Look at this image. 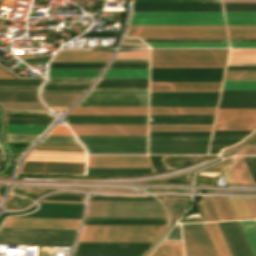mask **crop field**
<instances>
[{"instance_id":"obj_81","label":"crop field","mask_w":256,"mask_h":256,"mask_svg":"<svg viewBox=\"0 0 256 256\" xmlns=\"http://www.w3.org/2000/svg\"><path fill=\"white\" fill-rule=\"evenodd\" d=\"M256 221V220H255Z\"/></svg>"},{"instance_id":"obj_14","label":"crop field","mask_w":256,"mask_h":256,"mask_svg":"<svg viewBox=\"0 0 256 256\" xmlns=\"http://www.w3.org/2000/svg\"><path fill=\"white\" fill-rule=\"evenodd\" d=\"M40 209L21 217L81 219L84 204L39 203Z\"/></svg>"},{"instance_id":"obj_45","label":"crop field","mask_w":256,"mask_h":256,"mask_svg":"<svg viewBox=\"0 0 256 256\" xmlns=\"http://www.w3.org/2000/svg\"><path fill=\"white\" fill-rule=\"evenodd\" d=\"M79 140H146V136H77Z\"/></svg>"},{"instance_id":"obj_52","label":"crop field","mask_w":256,"mask_h":256,"mask_svg":"<svg viewBox=\"0 0 256 256\" xmlns=\"http://www.w3.org/2000/svg\"><path fill=\"white\" fill-rule=\"evenodd\" d=\"M53 120L6 119V124L49 125Z\"/></svg>"},{"instance_id":"obj_23","label":"crop field","mask_w":256,"mask_h":256,"mask_svg":"<svg viewBox=\"0 0 256 256\" xmlns=\"http://www.w3.org/2000/svg\"><path fill=\"white\" fill-rule=\"evenodd\" d=\"M112 52L94 50L59 51L54 59H109ZM53 61H108V60H53Z\"/></svg>"},{"instance_id":"obj_8","label":"crop field","mask_w":256,"mask_h":256,"mask_svg":"<svg viewBox=\"0 0 256 256\" xmlns=\"http://www.w3.org/2000/svg\"><path fill=\"white\" fill-rule=\"evenodd\" d=\"M219 92H150V106H216Z\"/></svg>"},{"instance_id":"obj_25","label":"crop field","mask_w":256,"mask_h":256,"mask_svg":"<svg viewBox=\"0 0 256 256\" xmlns=\"http://www.w3.org/2000/svg\"><path fill=\"white\" fill-rule=\"evenodd\" d=\"M216 107H150V114H214Z\"/></svg>"},{"instance_id":"obj_41","label":"crop field","mask_w":256,"mask_h":256,"mask_svg":"<svg viewBox=\"0 0 256 256\" xmlns=\"http://www.w3.org/2000/svg\"><path fill=\"white\" fill-rule=\"evenodd\" d=\"M222 90H256V81H224Z\"/></svg>"},{"instance_id":"obj_54","label":"crop field","mask_w":256,"mask_h":256,"mask_svg":"<svg viewBox=\"0 0 256 256\" xmlns=\"http://www.w3.org/2000/svg\"><path fill=\"white\" fill-rule=\"evenodd\" d=\"M134 2L221 3L220 0H134Z\"/></svg>"},{"instance_id":"obj_44","label":"crop field","mask_w":256,"mask_h":256,"mask_svg":"<svg viewBox=\"0 0 256 256\" xmlns=\"http://www.w3.org/2000/svg\"><path fill=\"white\" fill-rule=\"evenodd\" d=\"M224 80H256V71H226Z\"/></svg>"},{"instance_id":"obj_57","label":"crop field","mask_w":256,"mask_h":256,"mask_svg":"<svg viewBox=\"0 0 256 256\" xmlns=\"http://www.w3.org/2000/svg\"><path fill=\"white\" fill-rule=\"evenodd\" d=\"M89 200H155L153 197H143V198H129V197H110V196H93Z\"/></svg>"},{"instance_id":"obj_35","label":"crop field","mask_w":256,"mask_h":256,"mask_svg":"<svg viewBox=\"0 0 256 256\" xmlns=\"http://www.w3.org/2000/svg\"><path fill=\"white\" fill-rule=\"evenodd\" d=\"M245 237L252 249L254 256H256V223L254 220L238 221Z\"/></svg>"},{"instance_id":"obj_79","label":"crop field","mask_w":256,"mask_h":256,"mask_svg":"<svg viewBox=\"0 0 256 256\" xmlns=\"http://www.w3.org/2000/svg\"><path fill=\"white\" fill-rule=\"evenodd\" d=\"M196 207H197V209H198V211H199V214H200L202 220L205 221L204 218H203V216H202V213H201V211H200V208H199L198 204L196 205Z\"/></svg>"},{"instance_id":"obj_43","label":"crop field","mask_w":256,"mask_h":256,"mask_svg":"<svg viewBox=\"0 0 256 256\" xmlns=\"http://www.w3.org/2000/svg\"><path fill=\"white\" fill-rule=\"evenodd\" d=\"M47 126L7 125L8 133L40 134Z\"/></svg>"},{"instance_id":"obj_42","label":"crop field","mask_w":256,"mask_h":256,"mask_svg":"<svg viewBox=\"0 0 256 256\" xmlns=\"http://www.w3.org/2000/svg\"><path fill=\"white\" fill-rule=\"evenodd\" d=\"M151 256H183L181 245H160Z\"/></svg>"},{"instance_id":"obj_60","label":"crop field","mask_w":256,"mask_h":256,"mask_svg":"<svg viewBox=\"0 0 256 256\" xmlns=\"http://www.w3.org/2000/svg\"><path fill=\"white\" fill-rule=\"evenodd\" d=\"M227 25H256V19H226Z\"/></svg>"},{"instance_id":"obj_39","label":"crop field","mask_w":256,"mask_h":256,"mask_svg":"<svg viewBox=\"0 0 256 256\" xmlns=\"http://www.w3.org/2000/svg\"><path fill=\"white\" fill-rule=\"evenodd\" d=\"M229 37H256V26H227Z\"/></svg>"},{"instance_id":"obj_29","label":"crop field","mask_w":256,"mask_h":256,"mask_svg":"<svg viewBox=\"0 0 256 256\" xmlns=\"http://www.w3.org/2000/svg\"><path fill=\"white\" fill-rule=\"evenodd\" d=\"M238 184H255L242 157L230 167Z\"/></svg>"},{"instance_id":"obj_47","label":"crop field","mask_w":256,"mask_h":256,"mask_svg":"<svg viewBox=\"0 0 256 256\" xmlns=\"http://www.w3.org/2000/svg\"><path fill=\"white\" fill-rule=\"evenodd\" d=\"M117 55H149V50L118 52ZM149 57H115L113 61H148Z\"/></svg>"},{"instance_id":"obj_15","label":"crop field","mask_w":256,"mask_h":256,"mask_svg":"<svg viewBox=\"0 0 256 256\" xmlns=\"http://www.w3.org/2000/svg\"><path fill=\"white\" fill-rule=\"evenodd\" d=\"M68 124H147V116L67 115Z\"/></svg>"},{"instance_id":"obj_51","label":"crop field","mask_w":256,"mask_h":256,"mask_svg":"<svg viewBox=\"0 0 256 256\" xmlns=\"http://www.w3.org/2000/svg\"><path fill=\"white\" fill-rule=\"evenodd\" d=\"M224 220H233L234 217L225 199L214 198Z\"/></svg>"},{"instance_id":"obj_48","label":"crop field","mask_w":256,"mask_h":256,"mask_svg":"<svg viewBox=\"0 0 256 256\" xmlns=\"http://www.w3.org/2000/svg\"><path fill=\"white\" fill-rule=\"evenodd\" d=\"M40 143L78 144L73 136L47 135Z\"/></svg>"},{"instance_id":"obj_31","label":"crop field","mask_w":256,"mask_h":256,"mask_svg":"<svg viewBox=\"0 0 256 256\" xmlns=\"http://www.w3.org/2000/svg\"><path fill=\"white\" fill-rule=\"evenodd\" d=\"M0 101H39L37 91H0Z\"/></svg>"},{"instance_id":"obj_70","label":"crop field","mask_w":256,"mask_h":256,"mask_svg":"<svg viewBox=\"0 0 256 256\" xmlns=\"http://www.w3.org/2000/svg\"><path fill=\"white\" fill-rule=\"evenodd\" d=\"M246 136H213L212 140H242Z\"/></svg>"},{"instance_id":"obj_65","label":"crop field","mask_w":256,"mask_h":256,"mask_svg":"<svg viewBox=\"0 0 256 256\" xmlns=\"http://www.w3.org/2000/svg\"><path fill=\"white\" fill-rule=\"evenodd\" d=\"M182 231L207 229L204 223L181 224Z\"/></svg>"},{"instance_id":"obj_76","label":"crop field","mask_w":256,"mask_h":256,"mask_svg":"<svg viewBox=\"0 0 256 256\" xmlns=\"http://www.w3.org/2000/svg\"><path fill=\"white\" fill-rule=\"evenodd\" d=\"M170 234L180 235V227L178 224L172 229Z\"/></svg>"},{"instance_id":"obj_55","label":"crop field","mask_w":256,"mask_h":256,"mask_svg":"<svg viewBox=\"0 0 256 256\" xmlns=\"http://www.w3.org/2000/svg\"><path fill=\"white\" fill-rule=\"evenodd\" d=\"M167 218L85 217L84 220H166Z\"/></svg>"},{"instance_id":"obj_19","label":"crop field","mask_w":256,"mask_h":256,"mask_svg":"<svg viewBox=\"0 0 256 256\" xmlns=\"http://www.w3.org/2000/svg\"><path fill=\"white\" fill-rule=\"evenodd\" d=\"M215 124L256 125V109H218Z\"/></svg>"},{"instance_id":"obj_58","label":"crop field","mask_w":256,"mask_h":256,"mask_svg":"<svg viewBox=\"0 0 256 256\" xmlns=\"http://www.w3.org/2000/svg\"><path fill=\"white\" fill-rule=\"evenodd\" d=\"M256 126L215 125L214 130H254Z\"/></svg>"},{"instance_id":"obj_66","label":"crop field","mask_w":256,"mask_h":256,"mask_svg":"<svg viewBox=\"0 0 256 256\" xmlns=\"http://www.w3.org/2000/svg\"><path fill=\"white\" fill-rule=\"evenodd\" d=\"M39 86H3L0 90H38Z\"/></svg>"},{"instance_id":"obj_74","label":"crop field","mask_w":256,"mask_h":256,"mask_svg":"<svg viewBox=\"0 0 256 256\" xmlns=\"http://www.w3.org/2000/svg\"><path fill=\"white\" fill-rule=\"evenodd\" d=\"M231 47H256V43H230Z\"/></svg>"},{"instance_id":"obj_12","label":"crop field","mask_w":256,"mask_h":256,"mask_svg":"<svg viewBox=\"0 0 256 256\" xmlns=\"http://www.w3.org/2000/svg\"><path fill=\"white\" fill-rule=\"evenodd\" d=\"M88 167H151L146 155H88Z\"/></svg>"},{"instance_id":"obj_71","label":"crop field","mask_w":256,"mask_h":256,"mask_svg":"<svg viewBox=\"0 0 256 256\" xmlns=\"http://www.w3.org/2000/svg\"><path fill=\"white\" fill-rule=\"evenodd\" d=\"M198 204H199V206H200V208H201V210H202V213H203V215H204L205 220H206V221H212L211 218H210V216H209V213H208V211H207V208H206V206H205V204H204L203 199H201V200L198 202Z\"/></svg>"},{"instance_id":"obj_30","label":"crop field","mask_w":256,"mask_h":256,"mask_svg":"<svg viewBox=\"0 0 256 256\" xmlns=\"http://www.w3.org/2000/svg\"><path fill=\"white\" fill-rule=\"evenodd\" d=\"M81 94H41L48 106H70Z\"/></svg>"},{"instance_id":"obj_49","label":"crop field","mask_w":256,"mask_h":256,"mask_svg":"<svg viewBox=\"0 0 256 256\" xmlns=\"http://www.w3.org/2000/svg\"><path fill=\"white\" fill-rule=\"evenodd\" d=\"M43 79H0V86L3 85H41Z\"/></svg>"},{"instance_id":"obj_33","label":"crop field","mask_w":256,"mask_h":256,"mask_svg":"<svg viewBox=\"0 0 256 256\" xmlns=\"http://www.w3.org/2000/svg\"><path fill=\"white\" fill-rule=\"evenodd\" d=\"M221 256H231L216 222L206 223Z\"/></svg>"},{"instance_id":"obj_32","label":"crop field","mask_w":256,"mask_h":256,"mask_svg":"<svg viewBox=\"0 0 256 256\" xmlns=\"http://www.w3.org/2000/svg\"><path fill=\"white\" fill-rule=\"evenodd\" d=\"M75 135H146L147 130H72Z\"/></svg>"},{"instance_id":"obj_64","label":"crop field","mask_w":256,"mask_h":256,"mask_svg":"<svg viewBox=\"0 0 256 256\" xmlns=\"http://www.w3.org/2000/svg\"><path fill=\"white\" fill-rule=\"evenodd\" d=\"M84 90L85 89H42L41 93H83Z\"/></svg>"},{"instance_id":"obj_63","label":"crop field","mask_w":256,"mask_h":256,"mask_svg":"<svg viewBox=\"0 0 256 256\" xmlns=\"http://www.w3.org/2000/svg\"><path fill=\"white\" fill-rule=\"evenodd\" d=\"M256 183V157H243Z\"/></svg>"},{"instance_id":"obj_68","label":"crop field","mask_w":256,"mask_h":256,"mask_svg":"<svg viewBox=\"0 0 256 256\" xmlns=\"http://www.w3.org/2000/svg\"><path fill=\"white\" fill-rule=\"evenodd\" d=\"M49 134H60V135H71L68 129L65 126L58 127L56 126L54 129L51 130Z\"/></svg>"},{"instance_id":"obj_62","label":"crop field","mask_w":256,"mask_h":256,"mask_svg":"<svg viewBox=\"0 0 256 256\" xmlns=\"http://www.w3.org/2000/svg\"><path fill=\"white\" fill-rule=\"evenodd\" d=\"M143 254L73 253L72 256H142Z\"/></svg>"},{"instance_id":"obj_78","label":"crop field","mask_w":256,"mask_h":256,"mask_svg":"<svg viewBox=\"0 0 256 256\" xmlns=\"http://www.w3.org/2000/svg\"><path fill=\"white\" fill-rule=\"evenodd\" d=\"M210 199H211V201H212V203H213V205H214V207H215V209H216V211H217V213H218L220 219L223 220L222 217H221V215H220V212H219V210H218V208H217V206H216V203H215L214 199H213V198H210ZM218 215H217V216H218ZM219 217H218V218H219ZM220 219H219V220H220Z\"/></svg>"},{"instance_id":"obj_13","label":"crop field","mask_w":256,"mask_h":256,"mask_svg":"<svg viewBox=\"0 0 256 256\" xmlns=\"http://www.w3.org/2000/svg\"><path fill=\"white\" fill-rule=\"evenodd\" d=\"M232 256H253L237 221L217 222Z\"/></svg>"},{"instance_id":"obj_40","label":"crop field","mask_w":256,"mask_h":256,"mask_svg":"<svg viewBox=\"0 0 256 256\" xmlns=\"http://www.w3.org/2000/svg\"><path fill=\"white\" fill-rule=\"evenodd\" d=\"M71 129H147V125H70Z\"/></svg>"},{"instance_id":"obj_28","label":"crop field","mask_w":256,"mask_h":256,"mask_svg":"<svg viewBox=\"0 0 256 256\" xmlns=\"http://www.w3.org/2000/svg\"><path fill=\"white\" fill-rule=\"evenodd\" d=\"M102 78H148V69H107Z\"/></svg>"},{"instance_id":"obj_17","label":"crop field","mask_w":256,"mask_h":256,"mask_svg":"<svg viewBox=\"0 0 256 256\" xmlns=\"http://www.w3.org/2000/svg\"><path fill=\"white\" fill-rule=\"evenodd\" d=\"M221 82H150V91H219Z\"/></svg>"},{"instance_id":"obj_3","label":"crop field","mask_w":256,"mask_h":256,"mask_svg":"<svg viewBox=\"0 0 256 256\" xmlns=\"http://www.w3.org/2000/svg\"><path fill=\"white\" fill-rule=\"evenodd\" d=\"M78 230L1 227L0 244L71 246Z\"/></svg>"},{"instance_id":"obj_36","label":"crop field","mask_w":256,"mask_h":256,"mask_svg":"<svg viewBox=\"0 0 256 256\" xmlns=\"http://www.w3.org/2000/svg\"><path fill=\"white\" fill-rule=\"evenodd\" d=\"M1 109L47 110L41 102H0Z\"/></svg>"},{"instance_id":"obj_2","label":"crop field","mask_w":256,"mask_h":256,"mask_svg":"<svg viewBox=\"0 0 256 256\" xmlns=\"http://www.w3.org/2000/svg\"><path fill=\"white\" fill-rule=\"evenodd\" d=\"M228 49H151V67H224Z\"/></svg>"},{"instance_id":"obj_75","label":"crop field","mask_w":256,"mask_h":256,"mask_svg":"<svg viewBox=\"0 0 256 256\" xmlns=\"http://www.w3.org/2000/svg\"><path fill=\"white\" fill-rule=\"evenodd\" d=\"M14 1L15 0H3L2 5H0V7L1 6H13Z\"/></svg>"},{"instance_id":"obj_21","label":"crop field","mask_w":256,"mask_h":256,"mask_svg":"<svg viewBox=\"0 0 256 256\" xmlns=\"http://www.w3.org/2000/svg\"><path fill=\"white\" fill-rule=\"evenodd\" d=\"M131 18H223L222 12H132Z\"/></svg>"},{"instance_id":"obj_61","label":"crop field","mask_w":256,"mask_h":256,"mask_svg":"<svg viewBox=\"0 0 256 256\" xmlns=\"http://www.w3.org/2000/svg\"><path fill=\"white\" fill-rule=\"evenodd\" d=\"M45 200L84 201V199H81V196L78 195H57L48 197Z\"/></svg>"},{"instance_id":"obj_46","label":"crop field","mask_w":256,"mask_h":256,"mask_svg":"<svg viewBox=\"0 0 256 256\" xmlns=\"http://www.w3.org/2000/svg\"><path fill=\"white\" fill-rule=\"evenodd\" d=\"M230 53H256V50H231ZM229 57H256V54H230ZM228 62H256V59H229ZM228 64H256V63H228Z\"/></svg>"},{"instance_id":"obj_50","label":"crop field","mask_w":256,"mask_h":256,"mask_svg":"<svg viewBox=\"0 0 256 256\" xmlns=\"http://www.w3.org/2000/svg\"><path fill=\"white\" fill-rule=\"evenodd\" d=\"M210 136H149V140H209Z\"/></svg>"},{"instance_id":"obj_38","label":"crop field","mask_w":256,"mask_h":256,"mask_svg":"<svg viewBox=\"0 0 256 256\" xmlns=\"http://www.w3.org/2000/svg\"><path fill=\"white\" fill-rule=\"evenodd\" d=\"M212 126H149V131H211Z\"/></svg>"},{"instance_id":"obj_16","label":"crop field","mask_w":256,"mask_h":256,"mask_svg":"<svg viewBox=\"0 0 256 256\" xmlns=\"http://www.w3.org/2000/svg\"><path fill=\"white\" fill-rule=\"evenodd\" d=\"M81 220L8 217L3 226L78 229Z\"/></svg>"},{"instance_id":"obj_53","label":"crop field","mask_w":256,"mask_h":256,"mask_svg":"<svg viewBox=\"0 0 256 256\" xmlns=\"http://www.w3.org/2000/svg\"><path fill=\"white\" fill-rule=\"evenodd\" d=\"M38 135L7 134L8 142L31 143Z\"/></svg>"},{"instance_id":"obj_18","label":"crop field","mask_w":256,"mask_h":256,"mask_svg":"<svg viewBox=\"0 0 256 256\" xmlns=\"http://www.w3.org/2000/svg\"><path fill=\"white\" fill-rule=\"evenodd\" d=\"M218 108H256V91H222Z\"/></svg>"},{"instance_id":"obj_69","label":"crop field","mask_w":256,"mask_h":256,"mask_svg":"<svg viewBox=\"0 0 256 256\" xmlns=\"http://www.w3.org/2000/svg\"><path fill=\"white\" fill-rule=\"evenodd\" d=\"M213 221L218 220L209 198H203Z\"/></svg>"},{"instance_id":"obj_7","label":"crop field","mask_w":256,"mask_h":256,"mask_svg":"<svg viewBox=\"0 0 256 256\" xmlns=\"http://www.w3.org/2000/svg\"><path fill=\"white\" fill-rule=\"evenodd\" d=\"M148 90L91 89L77 106H147Z\"/></svg>"},{"instance_id":"obj_67","label":"crop field","mask_w":256,"mask_h":256,"mask_svg":"<svg viewBox=\"0 0 256 256\" xmlns=\"http://www.w3.org/2000/svg\"><path fill=\"white\" fill-rule=\"evenodd\" d=\"M253 218L256 219V200L244 199Z\"/></svg>"},{"instance_id":"obj_5","label":"crop field","mask_w":256,"mask_h":256,"mask_svg":"<svg viewBox=\"0 0 256 256\" xmlns=\"http://www.w3.org/2000/svg\"><path fill=\"white\" fill-rule=\"evenodd\" d=\"M86 216L166 217L158 201H88Z\"/></svg>"},{"instance_id":"obj_80","label":"crop field","mask_w":256,"mask_h":256,"mask_svg":"<svg viewBox=\"0 0 256 256\" xmlns=\"http://www.w3.org/2000/svg\"><path fill=\"white\" fill-rule=\"evenodd\" d=\"M164 241H181V240H164ZM172 243H181V242H172Z\"/></svg>"},{"instance_id":"obj_56","label":"crop field","mask_w":256,"mask_h":256,"mask_svg":"<svg viewBox=\"0 0 256 256\" xmlns=\"http://www.w3.org/2000/svg\"><path fill=\"white\" fill-rule=\"evenodd\" d=\"M236 142L238 141H212L209 154H217L221 148Z\"/></svg>"},{"instance_id":"obj_24","label":"crop field","mask_w":256,"mask_h":256,"mask_svg":"<svg viewBox=\"0 0 256 256\" xmlns=\"http://www.w3.org/2000/svg\"><path fill=\"white\" fill-rule=\"evenodd\" d=\"M95 78H48L43 88H87Z\"/></svg>"},{"instance_id":"obj_20","label":"crop field","mask_w":256,"mask_h":256,"mask_svg":"<svg viewBox=\"0 0 256 256\" xmlns=\"http://www.w3.org/2000/svg\"><path fill=\"white\" fill-rule=\"evenodd\" d=\"M69 114L147 115V107H75Z\"/></svg>"},{"instance_id":"obj_1","label":"crop field","mask_w":256,"mask_h":256,"mask_svg":"<svg viewBox=\"0 0 256 256\" xmlns=\"http://www.w3.org/2000/svg\"><path fill=\"white\" fill-rule=\"evenodd\" d=\"M165 225H83L77 242H155Z\"/></svg>"},{"instance_id":"obj_9","label":"crop field","mask_w":256,"mask_h":256,"mask_svg":"<svg viewBox=\"0 0 256 256\" xmlns=\"http://www.w3.org/2000/svg\"><path fill=\"white\" fill-rule=\"evenodd\" d=\"M209 141H149L148 153L206 154Z\"/></svg>"},{"instance_id":"obj_4","label":"crop field","mask_w":256,"mask_h":256,"mask_svg":"<svg viewBox=\"0 0 256 256\" xmlns=\"http://www.w3.org/2000/svg\"><path fill=\"white\" fill-rule=\"evenodd\" d=\"M37 146L80 147V145H59V144H38ZM37 148L60 149V150H81V148H59V147H37ZM34 152L83 154V152L47 151V150H34ZM30 156L84 158L83 155L44 154V153H31ZM27 160L84 161L83 159L42 158V157H28ZM19 171L84 173V163L25 161L24 163L21 164Z\"/></svg>"},{"instance_id":"obj_6","label":"crop field","mask_w":256,"mask_h":256,"mask_svg":"<svg viewBox=\"0 0 256 256\" xmlns=\"http://www.w3.org/2000/svg\"><path fill=\"white\" fill-rule=\"evenodd\" d=\"M127 37H227L224 26L129 25Z\"/></svg>"},{"instance_id":"obj_11","label":"crop field","mask_w":256,"mask_h":256,"mask_svg":"<svg viewBox=\"0 0 256 256\" xmlns=\"http://www.w3.org/2000/svg\"><path fill=\"white\" fill-rule=\"evenodd\" d=\"M88 153H146V141H81Z\"/></svg>"},{"instance_id":"obj_34","label":"crop field","mask_w":256,"mask_h":256,"mask_svg":"<svg viewBox=\"0 0 256 256\" xmlns=\"http://www.w3.org/2000/svg\"><path fill=\"white\" fill-rule=\"evenodd\" d=\"M236 220L253 219L243 199H226Z\"/></svg>"},{"instance_id":"obj_27","label":"crop field","mask_w":256,"mask_h":256,"mask_svg":"<svg viewBox=\"0 0 256 256\" xmlns=\"http://www.w3.org/2000/svg\"><path fill=\"white\" fill-rule=\"evenodd\" d=\"M101 70L102 69H49V77H97Z\"/></svg>"},{"instance_id":"obj_72","label":"crop field","mask_w":256,"mask_h":256,"mask_svg":"<svg viewBox=\"0 0 256 256\" xmlns=\"http://www.w3.org/2000/svg\"><path fill=\"white\" fill-rule=\"evenodd\" d=\"M0 78H18V77L0 66Z\"/></svg>"},{"instance_id":"obj_22","label":"crop field","mask_w":256,"mask_h":256,"mask_svg":"<svg viewBox=\"0 0 256 256\" xmlns=\"http://www.w3.org/2000/svg\"><path fill=\"white\" fill-rule=\"evenodd\" d=\"M129 24L224 25L223 19H131Z\"/></svg>"},{"instance_id":"obj_73","label":"crop field","mask_w":256,"mask_h":256,"mask_svg":"<svg viewBox=\"0 0 256 256\" xmlns=\"http://www.w3.org/2000/svg\"><path fill=\"white\" fill-rule=\"evenodd\" d=\"M226 181L228 184H237L230 169L227 170V172L224 174Z\"/></svg>"},{"instance_id":"obj_37","label":"crop field","mask_w":256,"mask_h":256,"mask_svg":"<svg viewBox=\"0 0 256 256\" xmlns=\"http://www.w3.org/2000/svg\"><path fill=\"white\" fill-rule=\"evenodd\" d=\"M152 47H228L227 43H147Z\"/></svg>"},{"instance_id":"obj_10","label":"crop field","mask_w":256,"mask_h":256,"mask_svg":"<svg viewBox=\"0 0 256 256\" xmlns=\"http://www.w3.org/2000/svg\"><path fill=\"white\" fill-rule=\"evenodd\" d=\"M186 256H218L207 230L182 232Z\"/></svg>"},{"instance_id":"obj_26","label":"crop field","mask_w":256,"mask_h":256,"mask_svg":"<svg viewBox=\"0 0 256 256\" xmlns=\"http://www.w3.org/2000/svg\"><path fill=\"white\" fill-rule=\"evenodd\" d=\"M151 173V168H88L87 175H135Z\"/></svg>"},{"instance_id":"obj_59","label":"crop field","mask_w":256,"mask_h":256,"mask_svg":"<svg viewBox=\"0 0 256 256\" xmlns=\"http://www.w3.org/2000/svg\"><path fill=\"white\" fill-rule=\"evenodd\" d=\"M226 18H256V12H225Z\"/></svg>"},{"instance_id":"obj_77","label":"crop field","mask_w":256,"mask_h":256,"mask_svg":"<svg viewBox=\"0 0 256 256\" xmlns=\"http://www.w3.org/2000/svg\"><path fill=\"white\" fill-rule=\"evenodd\" d=\"M16 56H17L18 58H20V59L35 57L34 54H21V55H16Z\"/></svg>"}]
</instances>
